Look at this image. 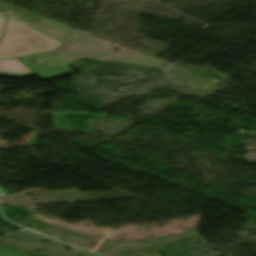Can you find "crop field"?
<instances>
[{
    "label": "crop field",
    "mask_w": 256,
    "mask_h": 256,
    "mask_svg": "<svg viewBox=\"0 0 256 256\" xmlns=\"http://www.w3.org/2000/svg\"><path fill=\"white\" fill-rule=\"evenodd\" d=\"M59 44L38 31L8 20L4 37L0 41V58L32 55L52 50Z\"/></svg>",
    "instance_id": "8a807250"
},
{
    "label": "crop field",
    "mask_w": 256,
    "mask_h": 256,
    "mask_svg": "<svg viewBox=\"0 0 256 256\" xmlns=\"http://www.w3.org/2000/svg\"><path fill=\"white\" fill-rule=\"evenodd\" d=\"M36 58V55H32L27 57H20L17 59L20 60L24 65H26L30 70H32L37 76L44 80L73 73L64 65L56 67H47L45 65L35 66L29 62Z\"/></svg>",
    "instance_id": "ac0d7876"
},
{
    "label": "crop field",
    "mask_w": 256,
    "mask_h": 256,
    "mask_svg": "<svg viewBox=\"0 0 256 256\" xmlns=\"http://www.w3.org/2000/svg\"><path fill=\"white\" fill-rule=\"evenodd\" d=\"M32 74L16 59L0 60V75L2 76L20 77Z\"/></svg>",
    "instance_id": "34b2d1b8"
},
{
    "label": "crop field",
    "mask_w": 256,
    "mask_h": 256,
    "mask_svg": "<svg viewBox=\"0 0 256 256\" xmlns=\"http://www.w3.org/2000/svg\"><path fill=\"white\" fill-rule=\"evenodd\" d=\"M5 20H6V18L0 16V39H1V36H2V33H3V27H4V24H5Z\"/></svg>",
    "instance_id": "412701ff"
},
{
    "label": "crop field",
    "mask_w": 256,
    "mask_h": 256,
    "mask_svg": "<svg viewBox=\"0 0 256 256\" xmlns=\"http://www.w3.org/2000/svg\"><path fill=\"white\" fill-rule=\"evenodd\" d=\"M152 256H159V255H158V253H156V254H154V255H152Z\"/></svg>",
    "instance_id": "f4fd0767"
}]
</instances>
